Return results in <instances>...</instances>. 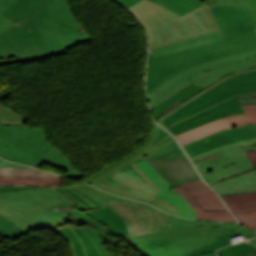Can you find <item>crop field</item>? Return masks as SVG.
I'll return each instance as SVG.
<instances>
[{"instance_id": "obj_1", "label": "crop field", "mask_w": 256, "mask_h": 256, "mask_svg": "<svg viewBox=\"0 0 256 256\" xmlns=\"http://www.w3.org/2000/svg\"><path fill=\"white\" fill-rule=\"evenodd\" d=\"M179 147L171 135L155 124L143 148L114 161L85 182L123 197L148 202L180 216L176 207L154 196L161 190L135 164Z\"/></svg>"}, {"instance_id": "obj_2", "label": "crop field", "mask_w": 256, "mask_h": 256, "mask_svg": "<svg viewBox=\"0 0 256 256\" xmlns=\"http://www.w3.org/2000/svg\"><path fill=\"white\" fill-rule=\"evenodd\" d=\"M250 94H256V68L225 77L157 121L176 136L222 117L243 113L236 96Z\"/></svg>"}, {"instance_id": "obj_3", "label": "crop field", "mask_w": 256, "mask_h": 256, "mask_svg": "<svg viewBox=\"0 0 256 256\" xmlns=\"http://www.w3.org/2000/svg\"><path fill=\"white\" fill-rule=\"evenodd\" d=\"M49 1L0 0V13L19 25L0 35V65L52 56L36 15Z\"/></svg>"}, {"instance_id": "obj_4", "label": "crop field", "mask_w": 256, "mask_h": 256, "mask_svg": "<svg viewBox=\"0 0 256 256\" xmlns=\"http://www.w3.org/2000/svg\"><path fill=\"white\" fill-rule=\"evenodd\" d=\"M74 204L55 187L0 193V215L29 231L64 224Z\"/></svg>"}, {"instance_id": "obj_5", "label": "crop field", "mask_w": 256, "mask_h": 256, "mask_svg": "<svg viewBox=\"0 0 256 256\" xmlns=\"http://www.w3.org/2000/svg\"><path fill=\"white\" fill-rule=\"evenodd\" d=\"M128 10L148 31L149 49L219 29L210 8L203 5L182 17L148 0Z\"/></svg>"}, {"instance_id": "obj_6", "label": "crop field", "mask_w": 256, "mask_h": 256, "mask_svg": "<svg viewBox=\"0 0 256 256\" xmlns=\"http://www.w3.org/2000/svg\"><path fill=\"white\" fill-rule=\"evenodd\" d=\"M223 38L222 41L157 58L150 54L147 91L150 92L171 76L200 63L256 49L255 29Z\"/></svg>"}, {"instance_id": "obj_7", "label": "crop field", "mask_w": 256, "mask_h": 256, "mask_svg": "<svg viewBox=\"0 0 256 256\" xmlns=\"http://www.w3.org/2000/svg\"><path fill=\"white\" fill-rule=\"evenodd\" d=\"M137 165L163 190L156 196L176 206L183 217L235 221L223 202L202 180L172 188L146 160Z\"/></svg>"}, {"instance_id": "obj_8", "label": "crop field", "mask_w": 256, "mask_h": 256, "mask_svg": "<svg viewBox=\"0 0 256 256\" xmlns=\"http://www.w3.org/2000/svg\"><path fill=\"white\" fill-rule=\"evenodd\" d=\"M170 216L173 227L165 228L167 232L133 240L127 236L147 256H182L189 251L218 242L220 228L209 226L186 227L185 219Z\"/></svg>"}, {"instance_id": "obj_9", "label": "crop field", "mask_w": 256, "mask_h": 256, "mask_svg": "<svg viewBox=\"0 0 256 256\" xmlns=\"http://www.w3.org/2000/svg\"><path fill=\"white\" fill-rule=\"evenodd\" d=\"M37 15L43 37L53 56L91 40L86 31H79L78 28L82 26L72 14L67 0H51Z\"/></svg>"}, {"instance_id": "obj_10", "label": "crop field", "mask_w": 256, "mask_h": 256, "mask_svg": "<svg viewBox=\"0 0 256 256\" xmlns=\"http://www.w3.org/2000/svg\"><path fill=\"white\" fill-rule=\"evenodd\" d=\"M52 147L44 128L0 124V156L3 158L33 166Z\"/></svg>"}, {"instance_id": "obj_11", "label": "crop field", "mask_w": 256, "mask_h": 256, "mask_svg": "<svg viewBox=\"0 0 256 256\" xmlns=\"http://www.w3.org/2000/svg\"><path fill=\"white\" fill-rule=\"evenodd\" d=\"M252 149H256V146L242 148L238 143L191 160L200 174L211 185L255 169L244 152Z\"/></svg>"}, {"instance_id": "obj_12", "label": "crop field", "mask_w": 256, "mask_h": 256, "mask_svg": "<svg viewBox=\"0 0 256 256\" xmlns=\"http://www.w3.org/2000/svg\"><path fill=\"white\" fill-rule=\"evenodd\" d=\"M101 202L119 214L133 239L164 232L163 227L172 226L167 214L148 204L118 196Z\"/></svg>"}, {"instance_id": "obj_13", "label": "crop field", "mask_w": 256, "mask_h": 256, "mask_svg": "<svg viewBox=\"0 0 256 256\" xmlns=\"http://www.w3.org/2000/svg\"><path fill=\"white\" fill-rule=\"evenodd\" d=\"M240 142L242 147L256 144V125L247 124L220 130L212 135L183 145L190 159L215 149Z\"/></svg>"}, {"instance_id": "obj_14", "label": "crop field", "mask_w": 256, "mask_h": 256, "mask_svg": "<svg viewBox=\"0 0 256 256\" xmlns=\"http://www.w3.org/2000/svg\"><path fill=\"white\" fill-rule=\"evenodd\" d=\"M256 67V58L245 60L238 63H233L227 66H223L218 69L209 70L206 72H202L198 75L191 77L189 80L194 84L186 89H184L179 94L173 96L169 100L165 101L155 109L151 110L153 118H157L164 114L165 112L174 108L178 103L182 102L186 98L198 93L202 89L208 87L213 82L219 80L224 76H228L232 73H236L238 71H244L247 69H251ZM201 88V90H200Z\"/></svg>"}, {"instance_id": "obj_15", "label": "crop field", "mask_w": 256, "mask_h": 256, "mask_svg": "<svg viewBox=\"0 0 256 256\" xmlns=\"http://www.w3.org/2000/svg\"><path fill=\"white\" fill-rule=\"evenodd\" d=\"M147 161L172 187L200 179L181 148Z\"/></svg>"}, {"instance_id": "obj_16", "label": "crop field", "mask_w": 256, "mask_h": 256, "mask_svg": "<svg viewBox=\"0 0 256 256\" xmlns=\"http://www.w3.org/2000/svg\"><path fill=\"white\" fill-rule=\"evenodd\" d=\"M71 244L74 256H110L96 230L91 227H60L55 228Z\"/></svg>"}, {"instance_id": "obj_17", "label": "crop field", "mask_w": 256, "mask_h": 256, "mask_svg": "<svg viewBox=\"0 0 256 256\" xmlns=\"http://www.w3.org/2000/svg\"><path fill=\"white\" fill-rule=\"evenodd\" d=\"M255 56H256V50L229 56V57H225V58H221V59H217L214 61L200 64L193 68H190V69L170 78L165 83H163L161 86H159L155 90L148 93L149 103L156 100L157 98L161 97L162 95L168 93L169 91L175 89L176 87L182 85L183 83L189 81L187 78H190L194 74H198L202 71L221 67L222 65H227L229 63L238 62V61L252 58Z\"/></svg>"}, {"instance_id": "obj_18", "label": "crop field", "mask_w": 256, "mask_h": 256, "mask_svg": "<svg viewBox=\"0 0 256 256\" xmlns=\"http://www.w3.org/2000/svg\"><path fill=\"white\" fill-rule=\"evenodd\" d=\"M245 112L243 114L234 115L223 118L221 120L200 126L192 131L176 136L181 145L199 139L201 137L212 134L220 129L239 126L246 123L256 124V105H242Z\"/></svg>"}, {"instance_id": "obj_19", "label": "crop field", "mask_w": 256, "mask_h": 256, "mask_svg": "<svg viewBox=\"0 0 256 256\" xmlns=\"http://www.w3.org/2000/svg\"><path fill=\"white\" fill-rule=\"evenodd\" d=\"M70 215L89 223L91 227L98 231L102 239L107 237L105 231L98 224L100 222L110 230L113 236L128 234L123 220L109 207L87 213H82L76 208H73Z\"/></svg>"}, {"instance_id": "obj_20", "label": "crop field", "mask_w": 256, "mask_h": 256, "mask_svg": "<svg viewBox=\"0 0 256 256\" xmlns=\"http://www.w3.org/2000/svg\"><path fill=\"white\" fill-rule=\"evenodd\" d=\"M211 10L223 36L254 28L244 7H214Z\"/></svg>"}, {"instance_id": "obj_21", "label": "crop field", "mask_w": 256, "mask_h": 256, "mask_svg": "<svg viewBox=\"0 0 256 256\" xmlns=\"http://www.w3.org/2000/svg\"><path fill=\"white\" fill-rule=\"evenodd\" d=\"M58 190L72 198L77 204L74 207L82 212L97 208L107 207L99 201L115 196L86 184H79L67 187H57Z\"/></svg>"}, {"instance_id": "obj_22", "label": "crop field", "mask_w": 256, "mask_h": 256, "mask_svg": "<svg viewBox=\"0 0 256 256\" xmlns=\"http://www.w3.org/2000/svg\"><path fill=\"white\" fill-rule=\"evenodd\" d=\"M223 198L240 222L253 229L256 228V192Z\"/></svg>"}, {"instance_id": "obj_23", "label": "crop field", "mask_w": 256, "mask_h": 256, "mask_svg": "<svg viewBox=\"0 0 256 256\" xmlns=\"http://www.w3.org/2000/svg\"><path fill=\"white\" fill-rule=\"evenodd\" d=\"M211 186L221 196L256 191V169Z\"/></svg>"}, {"instance_id": "obj_24", "label": "crop field", "mask_w": 256, "mask_h": 256, "mask_svg": "<svg viewBox=\"0 0 256 256\" xmlns=\"http://www.w3.org/2000/svg\"><path fill=\"white\" fill-rule=\"evenodd\" d=\"M222 39L223 38L221 36V33L218 30V31L207 33V34L195 36L192 38L184 39L181 41H177L174 43L166 44L163 46H159L154 49L153 56L156 57V56L204 45V44L215 42Z\"/></svg>"}, {"instance_id": "obj_25", "label": "crop field", "mask_w": 256, "mask_h": 256, "mask_svg": "<svg viewBox=\"0 0 256 256\" xmlns=\"http://www.w3.org/2000/svg\"><path fill=\"white\" fill-rule=\"evenodd\" d=\"M42 163L66 170L68 171L66 175L72 178L80 179L84 174L81 171L73 168L55 147L46 153L34 166L39 168Z\"/></svg>"}, {"instance_id": "obj_26", "label": "crop field", "mask_w": 256, "mask_h": 256, "mask_svg": "<svg viewBox=\"0 0 256 256\" xmlns=\"http://www.w3.org/2000/svg\"><path fill=\"white\" fill-rule=\"evenodd\" d=\"M221 231H222V235L217 236V239L220 242L192 251L190 253L184 254L183 256H217L216 250L218 248H222L225 245L231 244V241L228 238L239 235V233L233 230H227V229L221 228Z\"/></svg>"}, {"instance_id": "obj_27", "label": "crop field", "mask_w": 256, "mask_h": 256, "mask_svg": "<svg viewBox=\"0 0 256 256\" xmlns=\"http://www.w3.org/2000/svg\"><path fill=\"white\" fill-rule=\"evenodd\" d=\"M0 185H61V179L60 178L0 176Z\"/></svg>"}, {"instance_id": "obj_28", "label": "crop field", "mask_w": 256, "mask_h": 256, "mask_svg": "<svg viewBox=\"0 0 256 256\" xmlns=\"http://www.w3.org/2000/svg\"><path fill=\"white\" fill-rule=\"evenodd\" d=\"M150 1L161 4L166 8H168L169 10L181 16L202 5V3L197 0H150Z\"/></svg>"}, {"instance_id": "obj_29", "label": "crop field", "mask_w": 256, "mask_h": 256, "mask_svg": "<svg viewBox=\"0 0 256 256\" xmlns=\"http://www.w3.org/2000/svg\"><path fill=\"white\" fill-rule=\"evenodd\" d=\"M29 231L0 216V235L15 240Z\"/></svg>"}, {"instance_id": "obj_30", "label": "crop field", "mask_w": 256, "mask_h": 256, "mask_svg": "<svg viewBox=\"0 0 256 256\" xmlns=\"http://www.w3.org/2000/svg\"><path fill=\"white\" fill-rule=\"evenodd\" d=\"M0 175L4 176H39V177H60L46 171L36 169L0 168Z\"/></svg>"}, {"instance_id": "obj_31", "label": "crop field", "mask_w": 256, "mask_h": 256, "mask_svg": "<svg viewBox=\"0 0 256 256\" xmlns=\"http://www.w3.org/2000/svg\"><path fill=\"white\" fill-rule=\"evenodd\" d=\"M28 117L20 115L0 103V123L23 125Z\"/></svg>"}, {"instance_id": "obj_32", "label": "crop field", "mask_w": 256, "mask_h": 256, "mask_svg": "<svg viewBox=\"0 0 256 256\" xmlns=\"http://www.w3.org/2000/svg\"><path fill=\"white\" fill-rule=\"evenodd\" d=\"M219 6H244L246 7L256 27V0H217Z\"/></svg>"}, {"instance_id": "obj_33", "label": "crop field", "mask_w": 256, "mask_h": 256, "mask_svg": "<svg viewBox=\"0 0 256 256\" xmlns=\"http://www.w3.org/2000/svg\"><path fill=\"white\" fill-rule=\"evenodd\" d=\"M193 225H209V226H217V227H223V228H228V229H234L248 238L256 235V233L246 229L247 227L245 228L244 226L239 225V224L193 221Z\"/></svg>"}, {"instance_id": "obj_34", "label": "crop field", "mask_w": 256, "mask_h": 256, "mask_svg": "<svg viewBox=\"0 0 256 256\" xmlns=\"http://www.w3.org/2000/svg\"><path fill=\"white\" fill-rule=\"evenodd\" d=\"M227 249L232 256H246L245 254L253 251L256 254V247L249 243H241L240 245L228 246Z\"/></svg>"}, {"instance_id": "obj_35", "label": "crop field", "mask_w": 256, "mask_h": 256, "mask_svg": "<svg viewBox=\"0 0 256 256\" xmlns=\"http://www.w3.org/2000/svg\"><path fill=\"white\" fill-rule=\"evenodd\" d=\"M192 85V83L189 81L185 84H183L182 86L176 88L175 90L169 92L168 94L162 96L161 98L157 99L156 101L150 103V108L153 109L155 108L156 106H158L160 103L164 102L165 100H167L168 98L172 97L173 95H175L176 93L182 91L184 88L188 87Z\"/></svg>"}, {"instance_id": "obj_36", "label": "crop field", "mask_w": 256, "mask_h": 256, "mask_svg": "<svg viewBox=\"0 0 256 256\" xmlns=\"http://www.w3.org/2000/svg\"><path fill=\"white\" fill-rule=\"evenodd\" d=\"M15 25L17 24L0 14V34L11 29Z\"/></svg>"}, {"instance_id": "obj_37", "label": "crop field", "mask_w": 256, "mask_h": 256, "mask_svg": "<svg viewBox=\"0 0 256 256\" xmlns=\"http://www.w3.org/2000/svg\"><path fill=\"white\" fill-rule=\"evenodd\" d=\"M241 104H256V95L238 97Z\"/></svg>"}, {"instance_id": "obj_38", "label": "crop field", "mask_w": 256, "mask_h": 256, "mask_svg": "<svg viewBox=\"0 0 256 256\" xmlns=\"http://www.w3.org/2000/svg\"><path fill=\"white\" fill-rule=\"evenodd\" d=\"M0 167H17V168H30V167H26V166H22V165H18L15 163H11L5 160L0 159Z\"/></svg>"}, {"instance_id": "obj_39", "label": "crop field", "mask_w": 256, "mask_h": 256, "mask_svg": "<svg viewBox=\"0 0 256 256\" xmlns=\"http://www.w3.org/2000/svg\"><path fill=\"white\" fill-rule=\"evenodd\" d=\"M117 2H119L120 4L124 5L125 7H130L133 4L139 2L140 0H115Z\"/></svg>"}, {"instance_id": "obj_40", "label": "crop field", "mask_w": 256, "mask_h": 256, "mask_svg": "<svg viewBox=\"0 0 256 256\" xmlns=\"http://www.w3.org/2000/svg\"><path fill=\"white\" fill-rule=\"evenodd\" d=\"M249 159L252 161V163L256 166V150L246 152Z\"/></svg>"}, {"instance_id": "obj_41", "label": "crop field", "mask_w": 256, "mask_h": 256, "mask_svg": "<svg viewBox=\"0 0 256 256\" xmlns=\"http://www.w3.org/2000/svg\"><path fill=\"white\" fill-rule=\"evenodd\" d=\"M219 253L221 254V256H231L226 247L220 249Z\"/></svg>"}, {"instance_id": "obj_42", "label": "crop field", "mask_w": 256, "mask_h": 256, "mask_svg": "<svg viewBox=\"0 0 256 256\" xmlns=\"http://www.w3.org/2000/svg\"><path fill=\"white\" fill-rule=\"evenodd\" d=\"M186 222H187V226L192 225L191 220L186 219Z\"/></svg>"}, {"instance_id": "obj_43", "label": "crop field", "mask_w": 256, "mask_h": 256, "mask_svg": "<svg viewBox=\"0 0 256 256\" xmlns=\"http://www.w3.org/2000/svg\"><path fill=\"white\" fill-rule=\"evenodd\" d=\"M199 1H201V2H202V0H199Z\"/></svg>"}]
</instances>
